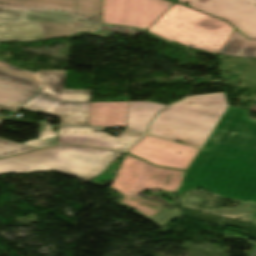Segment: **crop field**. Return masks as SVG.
I'll return each instance as SVG.
<instances>
[{
  "label": "crop field",
  "instance_id": "obj_1",
  "mask_svg": "<svg viewBox=\"0 0 256 256\" xmlns=\"http://www.w3.org/2000/svg\"><path fill=\"white\" fill-rule=\"evenodd\" d=\"M189 170L256 183V120L229 106Z\"/></svg>",
  "mask_w": 256,
  "mask_h": 256
},
{
  "label": "crop field",
  "instance_id": "obj_2",
  "mask_svg": "<svg viewBox=\"0 0 256 256\" xmlns=\"http://www.w3.org/2000/svg\"><path fill=\"white\" fill-rule=\"evenodd\" d=\"M102 0H0V41L43 39L38 21H100Z\"/></svg>",
  "mask_w": 256,
  "mask_h": 256
},
{
  "label": "crop field",
  "instance_id": "obj_3",
  "mask_svg": "<svg viewBox=\"0 0 256 256\" xmlns=\"http://www.w3.org/2000/svg\"><path fill=\"white\" fill-rule=\"evenodd\" d=\"M227 107L224 93L190 96L157 115L149 134L202 148Z\"/></svg>",
  "mask_w": 256,
  "mask_h": 256
},
{
  "label": "crop field",
  "instance_id": "obj_4",
  "mask_svg": "<svg viewBox=\"0 0 256 256\" xmlns=\"http://www.w3.org/2000/svg\"><path fill=\"white\" fill-rule=\"evenodd\" d=\"M185 173L157 168L126 154L111 188L124 195L120 202L136 208L148 217V221L162 226L171 216L181 217V213L163 210L162 205L137 196L151 189L177 193Z\"/></svg>",
  "mask_w": 256,
  "mask_h": 256
},
{
  "label": "crop field",
  "instance_id": "obj_5",
  "mask_svg": "<svg viewBox=\"0 0 256 256\" xmlns=\"http://www.w3.org/2000/svg\"><path fill=\"white\" fill-rule=\"evenodd\" d=\"M120 154L96 148L54 146L0 160V174L27 173L42 166L87 181Z\"/></svg>",
  "mask_w": 256,
  "mask_h": 256
},
{
  "label": "crop field",
  "instance_id": "obj_6",
  "mask_svg": "<svg viewBox=\"0 0 256 256\" xmlns=\"http://www.w3.org/2000/svg\"><path fill=\"white\" fill-rule=\"evenodd\" d=\"M233 30L226 22L175 4L147 31L170 42L218 53Z\"/></svg>",
  "mask_w": 256,
  "mask_h": 256
},
{
  "label": "crop field",
  "instance_id": "obj_7",
  "mask_svg": "<svg viewBox=\"0 0 256 256\" xmlns=\"http://www.w3.org/2000/svg\"><path fill=\"white\" fill-rule=\"evenodd\" d=\"M173 5L165 0H104L101 23L147 30Z\"/></svg>",
  "mask_w": 256,
  "mask_h": 256
},
{
  "label": "crop field",
  "instance_id": "obj_8",
  "mask_svg": "<svg viewBox=\"0 0 256 256\" xmlns=\"http://www.w3.org/2000/svg\"><path fill=\"white\" fill-rule=\"evenodd\" d=\"M212 16L226 20L242 34L256 40V0H178Z\"/></svg>",
  "mask_w": 256,
  "mask_h": 256
},
{
  "label": "crop field",
  "instance_id": "obj_9",
  "mask_svg": "<svg viewBox=\"0 0 256 256\" xmlns=\"http://www.w3.org/2000/svg\"><path fill=\"white\" fill-rule=\"evenodd\" d=\"M199 151V149L146 135L127 153L158 166L188 170Z\"/></svg>",
  "mask_w": 256,
  "mask_h": 256
},
{
  "label": "crop field",
  "instance_id": "obj_10",
  "mask_svg": "<svg viewBox=\"0 0 256 256\" xmlns=\"http://www.w3.org/2000/svg\"><path fill=\"white\" fill-rule=\"evenodd\" d=\"M103 129L59 126L58 144H73L81 146L98 147L123 152L130 145L140 139L144 134L125 130L116 137L101 132Z\"/></svg>",
  "mask_w": 256,
  "mask_h": 256
},
{
  "label": "crop field",
  "instance_id": "obj_11",
  "mask_svg": "<svg viewBox=\"0 0 256 256\" xmlns=\"http://www.w3.org/2000/svg\"><path fill=\"white\" fill-rule=\"evenodd\" d=\"M40 89V87L0 77V109L3 108L15 112L20 104L27 101ZM2 122L0 120V124ZM32 150L36 149L0 139V158Z\"/></svg>",
  "mask_w": 256,
  "mask_h": 256
},
{
  "label": "crop field",
  "instance_id": "obj_12",
  "mask_svg": "<svg viewBox=\"0 0 256 256\" xmlns=\"http://www.w3.org/2000/svg\"><path fill=\"white\" fill-rule=\"evenodd\" d=\"M182 183L201 186L225 198L256 202V184L187 171Z\"/></svg>",
  "mask_w": 256,
  "mask_h": 256
},
{
  "label": "crop field",
  "instance_id": "obj_13",
  "mask_svg": "<svg viewBox=\"0 0 256 256\" xmlns=\"http://www.w3.org/2000/svg\"><path fill=\"white\" fill-rule=\"evenodd\" d=\"M90 90H64L60 124L86 126Z\"/></svg>",
  "mask_w": 256,
  "mask_h": 256
},
{
  "label": "crop field",
  "instance_id": "obj_14",
  "mask_svg": "<svg viewBox=\"0 0 256 256\" xmlns=\"http://www.w3.org/2000/svg\"><path fill=\"white\" fill-rule=\"evenodd\" d=\"M129 102H90L88 126L125 127Z\"/></svg>",
  "mask_w": 256,
  "mask_h": 256
},
{
  "label": "crop field",
  "instance_id": "obj_15",
  "mask_svg": "<svg viewBox=\"0 0 256 256\" xmlns=\"http://www.w3.org/2000/svg\"><path fill=\"white\" fill-rule=\"evenodd\" d=\"M163 107L152 102H130L126 127L146 133L148 123Z\"/></svg>",
  "mask_w": 256,
  "mask_h": 256
},
{
  "label": "crop field",
  "instance_id": "obj_16",
  "mask_svg": "<svg viewBox=\"0 0 256 256\" xmlns=\"http://www.w3.org/2000/svg\"><path fill=\"white\" fill-rule=\"evenodd\" d=\"M219 53L230 56L256 57V41L248 40L235 30Z\"/></svg>",
  "mask_w": 256,
  "mask_h": 256
},
{
  "label": "crop field",
  "instance_id": "obj_17",
  "mask_svg": "<svg viewBox=\"0 0 256 256\" xmlns=\"http://www.w3.org/2000/svg\"><path fill=\"white\" fill-rule=\"evenodd\" d=\"M38 23L42 28L44 39L68 35L75 30L94 31L98 27V25L86 26L75 21H72L71 23H52V22H38Z\"/></svg>",
  "mask_w": 256,
  "mask_h": 256
},
{
  "label": "crop field",
  "instance_id": "obj_18",
  "mask_svg": "<svg viewBox=\"0 0 256 256\" xmlns=\"http://www.w3.org/2000/svg\"><path fill=\"white\" fill-rule=\"evenodd\" d=\"M61 99V97L41 92L32 100L24 104L22 108L46 114L59 103H61Z\"/></svg>",
  "mask_w": 256,
  "mask_h": 256
},
{
  "label": "crop field",
  "instance_id": "obj_19",
  "mask_svg": "<svg viewBox=\"0 0 256 256\" xmlns=\"http://www.w3.org/2000/svg\"><path fill=\"white\" fill-rule=\"evenodd\" d=\"M0 75L41 87L39 78L28 72H17L9 67L0 65Z\"/></svg>",
  "mask_w": 256,
  "mask_h": 256
},
{
  "label": "crop field",
  "instance_id": "obj_20",
  "mask_svg": "<svg viewBox=\"0 0 256 256\" xmlns=\"http://www.w3.org/2000/svg\"><path fill=\"white\" fill-rule=\"evenodd\" d=\"M38 74L43 78L45 82V88L54 90L62 93V85H63V76L64 72L61 71H53L46 72L40 71Z\"/></svg>",
  "mask_w": 256,
  "mask_h": 256
},
{
  "label": "crop field",
  "instance_id": "obj_21",
  "mask_svg": "<svg viewBox=\"0 0 256 256\" xmlns=\"http://www.w3.org/2000/svg\"><path fill=\"white\" fill-rule=\"evenodd\" d=\"M118 163H112L108 166V168L101 174L99 175L97 178V180L102 181L105 179H112L114 177V173L117 169Z\"/></svg>",
  "mask_w": 256,
  "mask_h": 256
},
{
  "label": "crop field",
  "instance_id": "obj_22",
  "mask_svg": "<svg viewBox=\"0 0 256 256\" xmlns=\"http://www.w3.org/2000/svg\"><path fill=\"white\" fill-rule=\"evenodd\" d=\"M60 106L61 104H59L57 107H55L53 110H51L49 113H47V115H51L54 117H58L59 118V114H60Z\"/></svg>",
  "mask_w": 256,
  "mask_h": 256
},
{
  "label": "crop field",
  "instance_id": "obj_23",
  "mask_svg": "<svg viewBox=\"0 0 256 256\" xmlns=\"http://www.w3.org/2000/svg\"><path fill=\"white\" fill-rule=\"evenodd\" d=\"M195 188H199V187L182 184L178 193L183 192V191H187V190H191V189H195Z\"/></svg>",
  "mask_w": 256,
  "mask_h": 256
},
{
  "label": "crop field",
  "instance_id": "obj_24",
  "mask_svg": "<svg viewBox=\"0 0 256 256\" xmlns=\"http://www.w3.org/2000/svg\"><path fill=\"white\" fill-rule=\"evenodd\" d=\"M43 92H47V93H51V94H55V95H58V96H61L62 97V94L61 93H57V92H53V91H50V90H46L44 89Z\"/></svg>",
  "mask_w": 256,
  "mask_h": 256
},
{
  "label": "crop field",
  "instance_id": "obj_25",
  "mask_svg": "<svg viewBox=\"0 0 256 256\" xmlns=\"http://www.w3.org/2000/svg\"><path fill=\"white\" fill-rule=\"evenodd\" d=\"M40 171H49V169H45V168L40 167V168H38V169H36V170H34L32 172H40Z\"/></svg>",
  "mask_w": 256,
  "mask_h": 256
}]
</instances>
